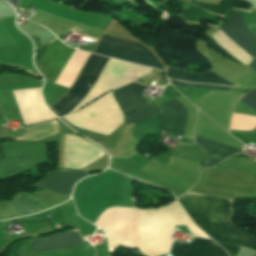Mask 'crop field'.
Instances as JSON below:
<instances>
[{"mask_svg": "<svg viewBox=\"0 0 256 256\" xmlns=\"http://www.w3.org/2000/svg\"><path fill=\"white\" fill-rule=\"evenodd\" d=\"M211 241L194 238L190 244L173 243V256H227L219 246H213Z\"/></svg>", "mask_w": 256, "mask_h": 256, "instance_id": "d1516ede", "label": "crop field"}, {"mask_svg": "<svg viewBox=\"0 0 256 256\" xmlns=\"http://www.w3.org/2000/svg\"><path fill=\"white\" fill-rule=\"evenodd\" d=\"M144 89H147V87L138 83H130L111 93L123 114H126L137 110L146 104L145 98H143L144 93L142 97L141 92Z\"/></svg>", "mask_w": 256, "mask_h": 256, "instance_id": "28ad6ade", "label": "crop field"}, {"mask_svg": "<svg viewBox=\"0 0 256 256\" xmlns=\"http://www.w3.org/2000/svg\"><path fill=\"white\" fill-rule=\"evenodd\" d=\"M195 143L202 149V151L207 155L202 168L212 167L218 162L228 158L229 156L240 152L241 150L231 148L225 145H221L204 138L195 136Z\"/></svg>", "mask_w": 256, "mask_h": 256, "instance_id": "cbeb9de0", "label": "crop field"}, {"mask_svg": "<svg viewBox=\"0 0 256 256\" xmlns=\"http://www.w3.org/2000/svg\"><path fill=\"white\" fill-rule=\"evenodd\" d=\"M180 225H186L194 235L209 238L192 223L176 201L163 208L144 210V216L136 220L139 251L146 256L167 254L173 226Z\"/></svg>", "mask_w": 256, "mask_h": 256, "instance_id": "ac0d7876", "label": "crop field"}, {"mask_svg": "<svg viewBox=\"0 0 256 256\" xmlns=\"http://www.w3.org/2000/svg\"><path fill=\"white\" fill-rule=\"evenodd\" d=\"M180 96H182V95H180L178 92H176V90H174L171 85H167L162 94L160 104L171 99V98L180 97Z\"/></svg>", "mask_w": 256, "mask_h": 256, "instance_id": "4a817a6b", "label": "crop field"}, {"mask_svg": "<svg viewBox=\"0 0 256 256\" xmlns=\"http://www.w3.org/2000/svg\"><path fill=\"white\" fill-rule=\"evenodd\" d=\"M178 200L197 225L211 237L256 250V240L231 224L229 199L186 193Z\"/></svg>", "mask_w": 256, "mask_h": 256, "instance_id": "8a807250", "label": "crop field"}, {"mask_svg": "<svg viewBox=\"0 0 256 256\" xmlns=\"http://www.w3.org/2000/svg\"><path fill=\"white\" fill-rule=\"evenodd\" d=\"M243 103L256 111V90L249 92L240 99Z\"/></svg>", "mask_w": 256, "mask_h": 256, "instance_id": "bc2a9ffb", "label": "crop field"}, {"mask_svg": "<svg viewBox=\"0 0 256 256\" xmlns=\"http://www.w3.org/2000/svg\"><path fill=\"white\" fill-rule=\"evenodd\" d=\"M109 61V58L91 54L80 76L65 96L52 108L58 117L63 116L75 108L88 94L97 77Z\"/></svg>", "mask_w": 256, "mask_h": 256, "instance_id": "412701ff", "label": "crop field"}, {"mask_svg": "<svg viewBox=\"0 0 256 256\" xmlns=\"http://www.w3.org/2000/svg\"><path fill=\"white\" fill-rule=\"evenodd\" d=\"M166 103L177 113V117L176 113ZM166 103L158 107L146 106L137 112L126 115V124L161 116L162 129L172 135L176 117L173 135L184 137V128L188 118L187 109L175 99L169 100Z\"/></svg>", "mask_w": 256, "mask_h": 256, "instance_id": "f4fd0767", "label": "crop field"}, {"mask_svg": "<svg viewBox=\"0 0 256 256\" xmlns=\"http://www.w3.org/2000/svg\"><path fill=\"white\" fill-rule=\"evenodd\" d=\"M86 175H88V173L80 171L55 170L48 173L44 179L35 186L43 187L56 193L70 194L72 186Z\"/></svg>", "mask_w": 256, "mask_h": 256, "instance_id": "3316defc", "label": "crop field"}, {"mask_svg": "<svg viewBox=\"0 0 256 256\" xmlns=\"http://www.w3.org/2000/svg\"><path fill=\"white\" fill-rule=\"evenodd\" d=\"M0 159V178L13 177L47 160L44 143L9 142Z\"/></svg>", "mask_w": 256, "mask_h": 256, "instance_id": "34b2d1b8", "label": "crop field"}, {"mask_svg": "<svg viewBox=\"0 0 256 256\" xmlns=\"http://www.w3.org/2000/svg\"><path fill=\"white\" fill-rule=\"evenodd\" d=\"M84 244L76 231H71L56 236L43 238L30 242V249L42 252Z\"/></svg>", "mask_w": 256, "mask_h": 256, "instance_id": "22f410ed", "label": "crop field"}, {"mask_svg": "<svg viewBox=\"0 0 256 256\" xmlns=\"http://www.w3.org/2000/svg\"><path fill=\"white\" fill-rule=\"evenodd\" d=\"M255 174H256V172H255Z\"/></svg>", "mask_w": 256, "mask_h": 256, "instance_id": "00972430", "label": "crop field"}, {"mask_svg": "<svg viewBox=\"0 0 256 256\" xmlns=\"http://www.w3.org/2000/svg\"><path fill=\"white\" fill-rule=\"evenodd\" d=\"M20 194H17L13 200V207L18 211L19 215L42 210V208L37 204L33 203Z\"/></svg>", "mask_w": 256, "mask_h": 256, "instance_id": "733c2abd", "label": "crop field"}, {"mask_svg": "<svg viewBox=\"0 0 256 256\" xmlns=\"http://www.w3.org/2000/svg\"><path fill=\"white\" fill-rule=\"evenodd\" d=\"M167 76H169V78H175L186 82H201L234 86V84L230 83L212 71L203 74H190L167 68Z\"/></svg>", "mask_w": 256, "mask_h": 256, "instance_id": "5142ce71", "label": "crop field"}, {"mask_svg": "<svg viewBox=\"0 0 256 256\" xmlns=\"http://www.w3.org/2000/svg\"><path fill=\"white\" fill-rule=\"evenodd\" d=\"M172 84L183 86V87H193V88H208V89H221V90H229L230 87H218V86H209V85H201V84H189L185 82H178L175 80H170ZM175 86L180 92H182L189 100H191L195 105L198 98L204 93L208 92V89H193V88H183Z\"/></svg>", "mask_w": 256, "mask_h": 256, "instance_id": "d9b57169", "label": "crop field"}, {"mask_svg": "<svg viewBox=\"0 0 256 256\" xmlns=\"http://www.w3.org/2000/svg\"><path fill=\"white\" fill-rule=\"evenodd\" d=\"M219 28L253 58L250 65L256 59V36L246 27L236 10L235 14Z\"/></svg>", "mask_w": 256, "mask_h": 256, "instance_id": "5a996713", "label": "crop field"}, {"mask_svg": "<svg viewBox=\"0 0 256 256\" xmlns=\"http://www.w3.org/2000/svg\"><path fill=\"white\" fill-rule=\"evenodd\" d=\"M94 52L163 70L154 55L137 42L103 34Z\"/></svg>", "mask_w": 256, "mask_h": 256, "instance_id": "dd49c442", "label": "crop field"}, {"mask_svg": "<svg viewBox=\"0 0 256 256\" xmlns=\"http://www.w3.org/2000/svg\"><path fill=\"white\" fill-rule=\"evenodd\" d=\"M73 50L57 39L52 44L45 45L35 55V65L46 80L55 83Z\"/></svg>", "mask_w": 256, "mask_h": 256, "instance_id": "e52e79f7", "label": "crop field"}, {"mask_svg": "<svg viewBox=\"0 0 256 256\" xmlns=\"http://www.w3.org/2000/svg\"><path fill=\"white\" fill-rule=\"evenodd\" d=\"M13 93L24 125L55 118L43 103L40 88L15 90Z\"/></svg>", "mask_w": 256, "mask_h": 256, "instance_id": "d8731c3e", "label": "crop field"}, {"mask_svg": "<svg viewBox=\"0 0 256 256\" xmlns=\"http://www.w3.org/2000/svg\"><path fill=\"white\" fill-rule=\"evenodd\" d=\"M3 114H2V112H1V110H0V116H2Z\"/></svg>", "mask_w": 256, "mask_h": 256, "instance_id": "dafd665d", "label": "crop field"}, {"mask_svg": "<svg viewBox=\"0 0 256 256\" xmlns=\"http://www.w3.org/2000/svg\"><path fill=\"white\" fill-rule=\"evenodd\" d=\"M250 67H251V69L256 70V60Z\"/></svg>", "mask_w": 256, "mask_h": 256, "instance_id": "92a150f3", "label": "crop field"}, {"mask_svg": "<svg viewBox=\"0 0 256 256\" xmlns=\"http://www.w3.org/2000/svg\"><path fill=\"white\" fill-rule=\"evenodd\" d=\"M217 243L222 245L227 250V252L230 254V256L236 255L238 252V249H239L238 246H233L230 244H225V243H220V242H217Z\"/></svg>", "mask_w": 256, "mask_h": 256, "instance_id": "214f88e0", "label": "crop field"}]
</instances>
